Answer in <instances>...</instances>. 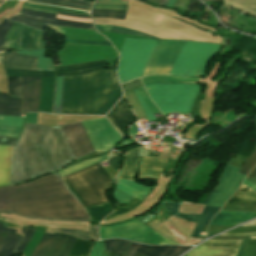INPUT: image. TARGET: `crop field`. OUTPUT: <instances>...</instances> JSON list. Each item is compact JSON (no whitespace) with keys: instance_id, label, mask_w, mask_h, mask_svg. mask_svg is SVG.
I'll use <instances>...</instances> for the list:
<instances>
[{"instance_id":"20","label":"crop field","mask_w":256,"mask_h":256,"mask_svg":"<svg viewBox=\"0 0 256 256\" xmlns=\"http://www.w3.org/2000/svg\"><path fill=\"white\" fill-rule=\"evenodd\" d=\"M106 117L122 136L129 137L127 126L134 122V117L125 99H122Z\"/></svg>"},{"instance_id":"73","label":"crop field","mask_w":256,"mask_h":256,"mask_svg":"<svg viewBox=\"0 0 256 256\" xmlns=\"http://www.w3.org/2000/svg\"><path fill=\"white\" fill-rule=\"evenodd\" d=\"M166 2H167V0H160L158 6H165Z\"/></svg>"},{"instance_id":"35","label":"crop field","mask_w":256,"mask_h":256,"mask_svg":"<svg viewBox=\"0 0 256 256\" xmlns=\"http://www.w3.org/2000/svg\"><path fill=\"white\" fill-rule=\"evenodd\" d=\"M45 51L46 49L40 51H16V53L38 56L37 70H53L50 58L44 57Z\"/></svg>"},{"instance_id":"15","label":"crop field","mask_w":256,"mask_h":256,"mask_svg":"<svg viewBox=\"0 0 256 256\" xmlns=\"http://www.w3.org/2000/svg\"><path fill=\"white\" fill-rule=\"evenodd\" d=\"M56 15L40 13L36 11L21 9L20 12L9 19L19 23L27 24L40 30L44 29L47 24L56 26H68L77 28L93 29L92 24L79 23L66 20L55 19Z\"/></svg>"},{"instance_id":"71","label":"crop field","mask_w":256,"mask_h":256,"mask_svg":"<svg viewBox=\"0 0 256 256\" xmlns=\"http://www.w3.org/2000/svg\"><path fill=\"white\" fill-rule=\"evenodd\" d=\"M256 175V167L252 170V172L248 175V177L253 178Z\"/></svg>"},{"instance_id":"53","label":"crop field","mask_w":256,"mask_h":256,"mask_svg":"<svg viewBox=\"0 0 256 256\" xmlns=\"http://www.w3.org/2000/svg\"><path fill=\"white\" fill-rule=\"evenodd\" d=\"M164 221L162 210H160L151 220H149L145 225L149 227H154Z\"/></svg>"},{"instance_id":"29","label":"crop field","mask_w":256,"mask_h":256,"mask_svg":"<svg viewBox=\"0 0 256 256\" xmlns=\"http://www.w3.org/2000/svg\"><path fill=\"white\" fill-rule=\"evenodd\" d=\"M0 232L1 233H15L16 230L9 229L3 227L2 223L0 222ZM21 235L18 234H7L5 239L0 245V256H11L15 246L21 239ZM17 247V246H16Z\"/></svg>"},{"instance_id":"32","label":"crop field","mask_w":256,"mask_h":256,"mask_svg":"<svg viewBox=\"0 0 256 256\" xmlns=\"http://www.w3.org/2000/svg\"><path fill=\"white\" fill-rule=\"evenodd\" d=\"M21 99L0 94V115L20 116Z\"/></svg>"},{"instance_id":"61","label":"crop field","mask_w":256,"mask_h":256,"mask_svg":"<svg viewBox=\"0 0 256 256\" xmlns=\"http://www.w3.org/2000/svg\"><path fill=\"white\" fill-rule=\"evenodd\" d=\"M36 118L37 113H28L25 123L36 124Z\"/></svg>"},{"instance_id":"37","label":"crop field","mask_w":256,"mask_h":256,"mask_svg":"<svg viewBox=\"0 0 256 256\" xmlns=\"http://www.w3.org/2000/svg\"><path fill=\"white\" fill-rule=\"evenodd\" d=\"M96 228H97V225H91L88 232L75 230V229H56V232L66 233V234L77 236L85 240L92 241V240H97Z\"/></svg>"},{"instance_id":"62","label":"crop field","mask_w":256,"mask_h":256,"mask_svg":"<svg viewBox=\"0 0 256 256\" xmlns=\"http://www.w3.org/2000/svg\"><path fill=\"white\" fill-rule=\"evenodd\" d=\"M119 161H120V157L117 156V157H114V158L109 159V161H107V162H108V164H109L111 167H113L114 169H116V167H117Z\"/></svg>"},{"instance_id":"42","label":"crop field","mask_w":256,"mask_h":256,"mask_svg":"<svg viewBox=\"0 0 256 256\" xmlns=\"http://www.w3.org/2000/svg\"><path fill=\"white\" fill-rule=\"evenodd\" d=\"M91 244L92 243L90 242L76 239L68 256H87L90 251Z\"/></svg>"},{"instance_id":"52","label":"crop field","mask_w":256,"mask_h":256,"mask_svg":"<svg viewBox=\"0 0 256 256\" xmlns=\"http://www.w3.org/2000/svg\"><path fill=\"white\" fill-rule=\"evenodd\" d=\"M21 128L9 127V126H0V134L7 135L17 138Z\"/></svg>"},{"instance_id":"14","label":"crop field","mask_w":256,"mask_h":256,"mask_svg":"<svg viewBox=\"0 0 256 256\" xmlns=\"http://www.w3.org/2000/svg\"><path fill=\"white\" fill-rule=\"evenodd\" d=\"M239 169L226 166L219 177V184L210 192L204 203L221 207L239 187L244 176L237 174Z\"/></svg>"},{"instance_id":"19","label":"crop field","mask_w":256,"mask_h":256,"mask_svg":"<svg viewBox=\"0 0 256 256\" xmlns=\"http://www.w3.org/2000/svg\"><path fill=\"white\" fill-rule=\"evenodd\" d=\"M241 240H209L185 256H217L226 255L229 248L212 247V243H237ZM241 242L237 244H213V246L231 247L227 256H236Z\"/></svg>"},{"instance_id":"34","label":"crop field","mask_w":256,"mask_h":256,"mask_svg":"<svg viewBox=\"0 0 256 256\" xmlns=\"http://www.w3.org/2000/svg\"><path fill=\"white\" fill-rule=\"evenodd\" d=\"M143 84L149 83H198L197 78L174 77V76H148L142 78Z\"/></svg>"},{"instance_id":"47","label":"crop field","mask_w":256,"mask_h":256,"mask_svg":"<svg viewBox=\"0 0 256 256\" xmlns=\"http://www.w3.org/2000/svg\"><path fill=\"white\" fill-rule=\"evenodd\" d=\"M35 229L23 227L21 233L24 235L19 246L17 249L14 251V254H21L23 249L25 248L26 244L30 240L31 236L33 235Z\"/></svg>"},{"instance_id":"2","label":"crop field","mask_w":256,"mask_h":256,"mask_svg":"<svg viewBox=\"0 0 256 256\" xmlns=\"http://www.w3.org/2000/svg\"><path fill=\"white\" fill-rule=\"evenodd\" d=\"M74 160L59 126L25 124L14 145L10 184L56 171Z\"/></svg>"},{"instance_id":"36","label":"crop field","mask_w":256,"mask_h":256,"mask_svg":"<svg viewBox=\"0 0 256 256\" xmlns=\"http://www.w3.org/2000/svg\"><path fill=\"white\" fill-rule=\"evenodd\" d=\"M92 217V221L100 222L103 217L109 214L113 210V205L100 204L86 208Z\"/></svg>"},{"instance_id":"24","label":"crop field","mask_w":256,"mask_h":256,"mask_svg":"<svg viewBox=\"0 0 256 256\" xmlns=\"http://www.w3.org/2000/svg\"><path fill=\"white\" fill-rule=\"evenodd\" d=\"M256 217V213L237 212V211H220L212 220L210 225L216 226H236L242 222Z\"/></svg>"},{"instance_id":"17","label":"crop field","mask_w":256,"mask_h":256,"mask_svg":"<svg viewBox=\"0 0 256 256\" xmlns=\"http://www.w3.org/2000/svg\"><path fill=\"white\" fill-rule=\"evenodd\" d=\"M60 127L75 159L94 152L81 122L60 125Z\"/></svg>"},{"instance_id":"70","label":"crop field","mask_w":256,"mask_h":256,"mask_svg":"<svg viewBox=\"0 0 256 256\" xmlns=\"http://www.w3.org/2000/svg\"><path fill=\"white\" fill-rule=\"evenodd\" d=\"M175 1H176V0H168V3H167L166 6L173 8V6H174V4H175Z\"/></svg>"},{"instance_id":"39","label":"crop field","mask_w":256,"mask_h":256,"mask_svg":"<svg viewBox=\"0 0 256 256\" xmlns=\"http://www.w3.org/2000/svg\"><path fill=\"white\" fill-rule=\"evenodd\" d=\"M103 242L105 244L107 256L110 251L121 256V254L126 250L128 245L130 244V242L128 241H122L119 239L105 240Z\"/></svg>"},{"instance_id":"11","label":"crop field","mask_w":256,"mask_h":256,"mask_svg":"<svg viewBox=\"0 0 256 256\" xmlns=\"http://www.w3.org/2000/svg\"><path fill=\"white\" fill-rule=\"evenodd\" d=\"M119 178L135 181V171H137L138 161H141L140 176L157 179L161 174L167 160L139 156V147L128 150L125 154Z\"/></svg>"},{"instance_id":"10","label":"crop field","mask_w":256,"mask_h":256,"mask_svg":"<svg viewBox=\"0 0 256 256\" xmlns=\"http://www.w3.org/2000/svg\"><path fill=\"white\" fill-rule=\"evenodd\" d=\"M184 41L158 40L153 48L143 75H168Z\"/></svg>"},{"instance_id":"3","label":"crop field","mask_w":256,"mask_h":256,"mask_svg":"<svg viewBox=\"0 0 256 256\" xmlns=\"http://www.w3.org/2000/svg\"><path fill=\"white\" fill-rule=\"evenodd\" d=\"M121 94L115 70L64 76L61 114L105 115Z\"/></svg>"},{"instance_id":"51","label":"crop field","mask_w":256,"mask_h":256,"mask_svg":"<svg viewBox=\"0 0 256 256\" xmlns=\"http://www.w3.org/2000/svg\"><path fill=\"white\" fill-rule=\"evenodd\" d=\"M65 43L69 44H95V45H110L108 41H86L77 39L63 38Z\"/></svg>"},{"instance_id":"64","label":"crop field","mask_w":256,"mask_h":256,"mask_svg":"<svg viewBox=\"0 0 256 256\" xmlns=\"http://www.w3.org/2000/svg\"><path fill=\"white\" fill-rule=\"evenodd\" d=\"M97 2L119 3V4H125V5H127V4H128V2H125V1H119V0H97Z\"/></svg>"},{"instance_id":"77","label":"crop field","mask_w":256,"mask_h":256,"mask_svg":"<svg viewBox=\"0 0 256 256\" xmlns=\"http://www.w3.org/2000/svg\"><path fill=\"white\" fill-rule=\"evenodd\" d=\"M101 256H105L104 250H103V253H102V255H101Z\"/></svg>"},{"instance_id":"8","label":"crop field","mask_w":256,"mask_h":256,"mask_svg":"<svg viewBox=\"0 0 256 256\" xmlns=\"http://www.w3.org/2000/svg\"><path fill=\"white\" fill-rule=\"evenodd\" d=\"M155 42L156 40L125 39L117 70L120 84L141 77Z\"/></svg>"},{"instance_id":"68","label":"crop field","mask_w":256,"mask_h":256,"mask_svg":"<svg viewBox=\"0 0 256 256\" xmlns=\"http://www.w3.org/2000/svg\"><path fill=\"white\" fill-rule=\"evenodd\" d=\"M57 14H64V15H70V16H76V17L90 18V16H86V15H77V14H69V13H61V12H58Z\"/></svg>"},{"instance_id":"67","label":"crop field","mask_w":256,"mask_h":256,"mask_svg":"<svg viewBox=\"0 0 256 256\" xmlns=\"http://www.w3.org/2000/svg\"><path fill=\"white\" fill-rule=\"evenodd\" d=\"M243 184H245L246 186H248L249 188H251L252 190H254L256 192V185H254L246 180L244 181Z\"/></svg>"},{"instance_id":"56","label":"crop field","mask_w":256,"mask_h":256,"mask_svg":"<svg viewBox=\"0 0 256 256\" xmlns=\"http://www.w3.org/2000/svg\"><path fill=\"white\" fill-rule=\"evenodd\" d=\"M141 95L145 99L146 103L148 104L149 108L152 110L153 113L159 112L158 109L151 103L150 99L148 98L147 94L145 93L143 87L138 88Z\"/></svg>"},{"instance_id":"50","label":"crop field","mask_w":256,"mask_h":256,"mask_svg":"<svg viewBox=\"0 0 256 256\" xmlns=\"http://www.w3.org/2000/svg\"><path fill=\"white\" fill-rule=\"evenodd\" d=\"M133 91H134L137 99L139 100V102H140V104H141V106H142V108H143V110H144V112H145V114H146V116L148 118V121L156 120L155 117L152 115L150 109L148 108V106L144 102L143 98L141 97L138 89L136 88Z\"/></svg>"},{"instance_id":"1","label":"crop field","mask_w":256,"mask_h":256,"mask_svg":"<svg viewBox=\"0 0 256 256\" xmlns=\"http://www.w3.org/2000/svg\"><path fill=\"white\" fill-rule=\"evenodd\" d=\"M0 213L50 221H90L86 209L57 172L0 188Z\"/></svg>"},{"instance_id":"72","label":"crop field","mask_w":256,"mask_h":256,"mask_svg":"<svg viewBox=\"0 0 256 256\" xmlns=\"http://www.w3.org/2000/svg\"><path fill=\"white\" fill-rule=\"evenodd\" d=\"M246 180L256 184V176L253 179L246 177Z\"/></svg>"},{"instance_id":"33","label":"crop field","mask_w":256,"mask_h":256,"mask_svg":"<svg viewBox=\"0 0 256 256\" xmlns=\"http://www.w3.org/2000/svg\"><path fill=\"white\" fill-rule=\"evenodd\" d=\"M228 203L256 206V193L242 184Z\"/></svg>"},{"instance_id":"7","label":"crop field","mask_w":256,"mask_h":256,"mask_svg":"<svg viewBox=\"0 0 256 256\" xmlns=\"http://www.w3.org/2000/svg\"><path fill=\"white\" fill-rule=\"evenodd\" d=\"M220 47L219 44L186 41L170 75L201 77Z\"/></svg>"},{"instance_id":"12","label":"crop field","mask_w":256,"mask_h":256,"mask_svg":"<svg viewBox=\"0 0 256 256\" xmlns=\"http://www.w3.org/2000/svg\"><path fill=\"white\" fill-rule=\"evenodd\" d=\"M43 32L15 23L6 36L8 50H39L46 48L47 41H42Z\"/></svg>"},{"instance_id":"74","label":"crop field","mask_w":256,"mask_h":256,"mask_svg":"<svg viewBox=\"0 0 256 256\" xmlns=\"http://www.w3.org/2000/svg\"><path fill=\"white\" fill-rule=\"evenodd\" d=\"M249 225H256V220H254V221H252V222H250V223H248V224H245V225H243V226H249Z\"/></svg>"},{"instance_id":"76","label":"crop field","mask_w":256,"mask_h":256,"mask_svg":"<svg viewBox=\"0 0 256 256\" xmlns=\"http://www.w3.org/2000/svg\"><path fill=\"white\" fill-rule=\"evenodd\" d=\"M4 237H5V236H4ZM2 238H3V236H2V235H0V242H1Z\"/></svg>"},{"instance_id":"21","label":"crop field","mask_w":256,"mask_h":256,"mask_svg":"<svg viewBox=\"0 0 256 256\" xmlns=\"http://www.w3.org/2000/svg\"><path fill=\"white\" fill-rule=\"evenodd\" d=\"M40 77H23L22 112L38 111Z\"/></svg>"},{"instance_id":"31","label":"crop field","mask_w":256,"mask_h":256,"mask_svg":"<svg viewBox=\"0 0 256 256\" xmlns=\"http://www.w3.org/2000/svg\"><path fill=\"white\" fill-rule=\"evenodd\" d=\"M223 5L256 18V0H224Z\"/></svg>"},{"instance_id":"54","label":"crop field","mask_w":256,"mask_h":256,"mask_svg":"<svg viewBox=\"0 0 256 256\" xmlns=\"http://www.w3.org/2000/svg\"><path fill=\"white\" fill-rule=\"evenodd\" d=\"M113 196L115 198V200L118 202V204H124V203H127L129 200H131L132 198L115 190L114 189V193H113Z\"/></svg>"},{"instance_id":"60","label":"crop field","mask_w":256,"mask_h":256,"mask_svg":"<svg viewBox=\"0 0 256 256\" xmlns=\"http://www.w3.org/2000/svg\"><path fill=\"white\" fill-rule=\"evenodd\" d=\"M56 18L92 23L91 19H85V18H75V17H68V16H60V15H57Z\"/></svg>"},{"instance_id":"28","label":"crop field","mask_w":256,"mask_h":256,"mask_svg":"<svg viewBox=\"0 0 256 256\" xmlns=\"http://www.w3.org/2000/svg\"><path fill=\"white\" fill-rule=\"evenodd\" d=\"M115 188L142 201L152 187H144L132 181L118 179Z\"/></svg>"},{"instance_id":"43","label":"crop field","mask_w":256,"mask_h":256,"mask_svg":"<svg viewBox=\"0 0 256 256\" xmlns=\"http://www.w3.org/2000/svg\"><path fill=\"white\" fill-rule=\"evenodd\" d=\"M125 13L126 11L117 10H92L91 17L116 18L124 20Z\"/></svg>"},{"instance_id":"63","label":"crop field","mask_w":256,"mask_h":256,"mask_svg":"<svg viewBox=\"0 0 256 256\" xmlns=\"http://www.w3.org/2000/svg\"><path fill=\"white\" fill-rule=\"evenodd\" d=\"M109 256H117V255L110 253ZM123 256H143V255L128 248V250L125 252V254Z\"/></svg>"},{"instance_id":"30","label":"crop field","mask_w":256,"mask_h":256,"mask_svg":"<svg viewBox=\"0 0 256 256\" xmlns=\"http://www.w3.org/2000/svg\"><path fill=\"white\" fill-rule=\"evenodd\" d=\"M33 3H43L56 5L61 7L73 8V9H83L86 12L90 11L93 2H85L81 0H27Z\"/></svg>"},{"instance_id":"27","label":"crop field","mask_w":256,"mask_h":256,"mask_svg":"<svg viewBox=\"0 0 256 256\" xmlns=\"http://www.w3.org/2000/svg\"><path fill=\"white\" fill-rule=\"evenodd\" d=\"M106 64L104 61H95L89 63H82L70 66H64L55 68L56 76L59 75H68V74H77L82 72L93 71L100 68H106Z\"/></svg>"},{"instance_id":"59","label":"crop field","mask_w":256,"mask_h":256,"mask_svg":"<svg viewBox=\"0 0 256 256\" xmlns=\"http://www.w3.org/2000/svg\"><path fill=\"white\" fill-rule=\"evenodd\" d=\"M102 249H103L102 244L100 243V241H97L92 250L91 256H100L102 253Z\"/></svg>"},{"instance_id":"65","label":"crop field","mask_w":256,"mask_h":256,"mask_svg":"<svg viewBox=\"0 0 256 256\" xmlns=\"http://www.w3.org/2000/svg\"><path fill=\"white\" fill-rule=\"evenodd\" d=\"M222 235H226V236H242V235H251L252 239H256V233H251V234H228V233H224Z\"/></svg>"},{"instance_id":"18","label":"crop field","mask_w":256,"mask_h":256,"mask_svg":"<svg viewBox=\"0 0 256 256\" xmlns=\"http://www.w3.org/2000/svg\"><path fill=\"white\" fill-rule=\"evenodd\" d=\"M163 205L166 207L168 216L173 215L183 219L198 222L193 234L191 235V237L194 238H198L200 232L204 229L205 225L209 224L213 214L220 209L217 207L205 206L200 215H184L178 212L180 206V204L178 203L165 202Z\"/></svg>"},{"instance_id":"48","label":"crop field","mask_w":256,"mask_h":256,"mask_svg":"<svg viewBox=\"0 0 256 256\" xmlns=\"http://www.w3.org/2000/svg\"><path fill=\"white\" fill-rule=\"evenodd\" d=\"M25 117L0 116V125L22 127Z\"/></svg>"},{"instance_id":"40","label":"crop field","mask_w":256,"mask_h":256,"mask_svg":"<svg viewBox=\"0 0 256 256\" xmlns=\"http://www.w3.org/2000/svg\"><path fill=\"white\" fill-rule=\"evenodd\" d=\"M21 8L43 11V12L54 13V14H56L57 11H61V12H69V13H78V14L88 15L87 13L82 12V11H75V10H70V9L55 8V7H49V6H43V5H36V4H30V3H27V2H24Z\"/></svg>"},{"instance_id":"66","label":"crop field","mask_w":256,"mask_h":256,"mask_svg":"<svg viewBox=\"0 0 256 256\" xmlns=\"http://www.w3.org/2000/svg\"><path fill=\"white\" fill-rule=\"evenodd\" d=\"M136 134H138V131H137V125H136V123L134 124V125H132L131 127H130V135H136ZM134 138V137H133Z\"/></svg>"},{"instance_id":"6","label":"crop field","mask_w":256,"mask_h":256,"mask_svg":"<svg viewBox=\"0 0 256 256\" xmlns=\"http://www.w3.org/2000/svg\"><path fill=\"white\" fill-rule=\"evenodd\" d=\"M144 87L163 114L189 113L200 89V85L193 84H150Z\"/></svg>"},{"instance_id":"26","label":"crop field","mask_w":256,"mask_h":256,"mask_svg":"<svg viewBox=\"0 0 256 256\" xmlns=\"http://www.w3.org/2000/svg\"><path fill=\"white\" fill-rule=\"evenodd\" d=\"M13 147L0 146V186L9 184Z\"/></svg>"},{"instance_id":"69","label":"crop field","mask_w":256,"mask_h":256,"mask_svg":"<svg viewBox=\"0 0 256 256\" xmlns=\"http://www.w3.org/2000/svg\"><path fill=\"white\" fill-rule=\"evenodd\" d=\"M146 2H148V3H150V4L154 5V6H157L159 0H147Z\"/></svg>"},{"instance_id":"22","label":"crop field","mask_w":256,"mask_h":256,"mask_svg":"<svg viewBox=\"0 0 256 256\" xmlns=\"http://www.w3.org/2000/svg\"><path fill=\"white\" fill-rule=\"evenodd\" d=\"M145 256H178L190 247L183 246H147L132 243L129 247Z\"/></svg>"},{"instance_id":"23","label":"crop field","mask_w":256,"mask_h":256,"mask_svg":"<svg viewBox=\"0 0 256 256\" xmlns=\"http://www.w3.org/2000/svg\"><path fill=\"white\" fill-rule=\"evenodd\" d=\"M4 68L36 70L37 58L15 54L14 51L0 54Z\"/></svg>"},{"instance_id":"57","label":"crop field","mask_w":256,"mask_h":256,"mask_svg":"<svg viewBox=\"0 0 256 256\" xmlns=\"http://www.w3.org/2000/svg\"><path fill=\"white\" fill-rule=\"evenodd\" d=\"M131 211L130 208H128L127 206H120L117 208V210L115 212H113L110 216H108L106 219H110V218H114L117 217L123 213L129 212ZM105 219V220H106Z\"/></svg>"},{"instance_id":"75","label":"crop field","mask_w":256,"mask_h":256,"mask_svg":"<svg viewBox=\"0 0 256 256\" xmlns=\"http://www.w3.org/2000/svg\"><path fill=\"white\" fill-rule=\"evenodd\" d=\"M9 10H11V8H9ZM9 10H8V11H9ZM8 11H7V12H8ZM7 12H2V13H0V18H1L3 15H5Z\"/></svg>"},{"instance_id":"58","label":"crop field","mask_w":256,"mask_h":256,"mask_svg":"<svg viewBox=\"0 0 256 256\" xmlns=\"http://www.w3.org/2000/svg\"><path fill=\"white\" fill-rule=\"evenodd\" d=\"M15 140H16L15 138H11V137L1 136V135H0V144H1V145L13 146Z\"/></svg>"},{"instance_id":"41","label":"crop field","mask_w":256,"mask_h":256,"mask_svg":"<svg viewBox=\"0 0 256 256\" xmlns=\"http://www.w3.org/2000/svg\"><path fill=\"white\" fill-rule=\"evenodd\" d=\"M7 76H54L53 71L4 69Z\"/></svg>"},{"instance_id":"4","label":"crop field","mask_w":256,"mask_h":256,"mask_svg":"<svg viewBox=\"0 0 256 256\" xmlns=\"http://www.w3.org/2000/svg\"><path fill=\"white\" fill-rule=\"evenodd\" d=\"M127 16L169 28L183 35L191 37L195 40L216 43L221 39V37L211 36V34L207 32L199 31L196 28L189 26L185 23H182L174 18H169L163 14L149 12L137 7L129 6ZM128 17L126 21L115 20V19H101V18H94V19L96 23L126 26V27H130V28H134V29H138V30L150 33L152 35H155L161 38L192 40L186 36L178 34L169 29H166L151 23L128 18ZM94 19L92 18L93 22H94ZM95 22H94V26L96 30L136 34V35L148 36L155 39H161L141 31H137V30H133L125 27H119V26L100 25V24H95ZM225 41L226 39L223 38L218 43L223 44Z\"/></svg>"},{"instance_id":"45","label":"crop field","mask_w":256,"mask_h":256,"mask_svg":"<svg viewBox=\"0 0 256 256\" xmlns=\"http://www.w3.org/2000/svg\"><path fill=\"white\" fill-rule=\"evenodd\" d=\"M12 25L13 22L6 19H4L0 24V53L7 52V49L5 47V36Z\"/></svg>"},{"instance_id":"5","label":"crop field","mask_w":256,"mask_h":256,"mask_svg":"<svg viewBox=\"0 0 256 256\" xmlns=\"http://www.w3.org/2000/svg\"><path fill=\"white\" fill-rule=\"evenodd\" d=\"M63 180L84 207L109 202L104 192L112 181L99 163L63 177Z\"/></svg>"},{"instance_id":"78","label":"crop field","mask_w":256,"mask_h":256,"mask_svg":"<svg viewBox=\"0 0 256 256\" xmlns=\"http://www.w3.org/2000/svg\"><path fill=\"white\" fill-rule=\"evenodd\" d=\"M202 1H208V0H202Z\"/></svg>"},{"instance_id":"79","label":"crop field","mask_w":256,"mask_h":256,"mask_svg":"<svg viewBox=\"0 0 256 256\" xmlns=\"http://www.w3.org/2000/svg\"><path fill=\"white\" fill-rule=\"evenodd\" d=\"M142 1H144V2H145L146 0H142Z\"/></svg>"},{"instance_id":"16","label":"crop field","mask_w":256,"mask_h":256,"mask_svg":"<svg viewBox=\"0 0 256 256\" xmlns=\"http://www.w3.org/2000/svg\"><path fill=\"white\" fill-rule=\"evenodd\" d=\"M74 241L69 235L44 233L32 256H67Z\"/></svg>"},{"instance_id":"55","label":"crop field","mask_w":256,"mask_h":256,"mask_svg":"<svg viewBox=\"0 0 256 256\" xmlns=\"http://www.w3.org/2000/svg\"><path fill=\"white\" fill-rule=\"evenodd\" d=\"M127 6L95 3L93 9H121L126 10Z\"/></svg>"},{"instance_id":"46","label":"crop field","mask_w":256,"mask_h":256,"mask_svg":"<svg viewBox=\"0 0 256 256\" xmlns=\"http://www.w3.org/2000/svg\"><path fill=\"white\" fill-rule=\"evenodd\" d=\"M9 93L21 97L22 77H7Z\"/></svg>"},{"instance_id":"13","label":"crop field","mask_w":256,"mask_h":256,"mask_svg":"<svg viewBox=\"0 0 256 256\" xmlns=\"http://www.w3.org/2000/svg\"><path fill=\"white\" fill-rule=\"evenodd\" d=\"M82 123L95 151H107L120 139L105 118Z\"/></svg>"},{"instance_id":"38","label":"crop field","mask_w":256,"mask_h":256,"mask_svg":"<svg viewBox=\"0 0 256 256\" xmlns=\"http://www.w3.org/2000/svg\"><path fill=\"white\" fill-rule=\"evenodd\" d=\"M108 158V154L104 155V156H101V157H97V158H94V159H90V160H86V161H81L75 165H72L62 171H59V174L61 175V177L63 176H66L68 174H71V173H74L80 169H83L89 165H92L94 163H97V162H100L102 160H105Z\"/></svg>"},{"instance_id":"9","label":"crop field","mask_w":256,"mask_h":256,"mask_svg":"<svg viewBox=\"0 0 256 256\" xmlns=\"http://www.w3.org/2000/svg\"><path fill=\"white\" fill-rule=\"evenodd\" d=\"M140 223L133 220L109 227L100 226L99 237L100 239L119 237L145 244H176Z\"/></svg>"},{"instance_id":"25","label":"crop field","mask_w":256,"mask_h":256,"mask_svg":"<svg viewBox=\"0 0 256 256\" xmlns=\"http://www.w3.org/2000/svg\"><path fill=\"white\" fill-rule=\"evenodd\" d=\"M54 77H41L39 111L51 113Z\"/></svg>"},{"instance_id":"49","label":"crop field","mask_w":256,"mask_h":256,"mask_svg":"<svg viewBox=\"0 0 256 256\" xmlns=\"http://www.w3.org/2000/svg\"><path fill=\"white\" fill-rule=\"evenodd\" d=\"M256 165V148L254 149L252 155L247 160V162L243 165L239 173L247 175L250 170Z\"/></svg>"},{"instance_id":"44","label":"crop field","mask_w":256,"mask_h":256,"mask_svg":"<svg viewBox=\"0 0 256 256\" xmlns=\"http://www.w3.org/2000/svg\"><path fill=\"white\" fill-rule=\"evenodd\" d=\"M63 76L56 77L53 113L60 114Z\"/></svg>"},{"instance_id":"80","label":"crop field","mask_w":256,"mask_h":256,"mask_svg":"<svg viewBox=\"0 0 256 256\" xmlns=\"http://www.w3.org/2000/svg\"><path fill=\"white\" fill-rule=\"evenodd\" d=\"M256 147V146H255Z\"/></svg>"}]
</instances>
